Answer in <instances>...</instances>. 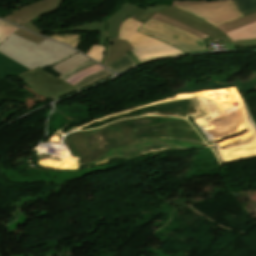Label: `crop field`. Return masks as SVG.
I'll use <instances>...</instances> for the list:
<instances>
[{
    "label": "crop field",
    "mask_w": 256,
    "mask_h": 256,
    "mask_svg": "<svg viewBox=\"0 0 256 256\" xmlns=\"http://www.w3.org/2000/svg\"><path fill=\"white\" fill-rule=\"evenodd\" d=\"M232 0H174L172 6L227 2ZM150 17L168 23L170 25L181 28L187 32L195 34L204 38L207 46L210 43L215 44L217 40L221 39L224 44L232 42V40L224 33L247 25L256 21V12L246 17L231 21L229 23L214 27L196 17H193L174 7L165 5H156L148 7L140 11L133 18L145 22ZM191 26V27H189ZM221 29V31H219ZM237 48L239 47H256V39L234 41Z\"/></svg>",
    "instance_id": "obj_1"
},
{
    "label": "crop field",
    "mask_w": 256,
    "mask_h": 256,
    "mask_svg": "<svg viewBox=\"0 0 256 256\" xmlns=\"http://www.w3.org/2000/svg\"><path fill=\"white\" fill-rule=\"evenodd\" d=\"M0 52L27 66L30 70L38 66L41 68L49 67L78 53L49 39L37 45L13 34L1 42Z\"/></svg>",
    "instance_id": "obj_2"
},
{
    "label": "crop field",
    "mask_w": 256,
    "mask_h": 256,
    "mask_svg": "<svg viewBox=\"0 0 256 256\" xmlns=\"http://www.w3.org/2000/svg\"><path fill=\"white\" fill-rule=\"evenodd\" d=\"M122 6L123 8L120 9L113 16L109 17L108 20H104L96 23L82 24L75 27H71V29L59 30V31H42L39 28H37L32 21L24 25V27L36 33H52V32H66V31L100 32L99 45H103V46H106L107 38H113L108 63L106 65L107 67L111 63L119 59L121 56L129 52L131 49H133L128 41L117 40L118 30H119L120 23L126 17L128 16L132 17L137 12L142 10V8L135 6L129 2H127L126 4H123Z\"/></svg>",
    "instance_id": "obj_3"
},
{
    "label": "crop field",
    "mask_w": 256,
    "mask_h": 256,
    "mask_svg": "<svg viewBox=\"0 0 256 256\" xmlns=\"http://www.w3.org/2000/svg\"><path fill=\"white\" fill-rule=\"evenodd\" d=\"M142 23L125 19L120 27L118 39L128 40L134 47L133 54L141 64L168 56L184 55L180 50L136 32Z\"/></svg>",
    "instance_id": "obj_4"
},
{
    "label": "crop field",
    "mask_w": 256,
    "mask_h": 256,
    "mask_svg": "<svg viewBox=\"0 0 256 256\" xmlns=\"http://www.w3.org/2000/svg\"><path fill=\"white\" fill-rule=\"evenodd\" d=\"M138 32L159 39L186 54L209 51L202 38L152 18L146 21Z\"/></svg>",
    "instance_id": "obj_5"
},
{
    "label": "crop field",
    "mask_w": 256,
    "mask_h": 256,
    "mask_svg": "<svg viewBox=\"0 0 256 256\" xmlns=\"http://www.w3.org/2000/svg\"><path fill=\"white\" fill-rule=\"evenodd\" d=\"M17 77L37 94L53 101L78 91L74 86L60 80L58 77L55 78L40 67Z\"/></svg>",
    "instance_id": "obj_6"
},
{
    "label": "crop field",
    "mask_w": 256,
    "mask_h": 256,
    "mask_svg": "<svg viewBox=\"0 0 256 256\" xmlns=\"http://www.w3.org/2000/svg\"><path fill=\"white\" fill-rule=\"evenodd\" d=\"M217 26L243 17L233 2L176 7Z\"/></svg>",
    "instance_id": "obj_7"
},
{
    "label": "crop field",
    "mask_w": 256,
    "mask_h": 256,
    "mask_svg": "<svg viewBox=\"0 0 256 256\" xmlns=\"http://www.w3.org/2000/svg\"><path fill=\"white\" fill-rule=\"evenodd\" d=\"M62 1L63 0H43L35 4L19 8L2 16L1 18L22 26L37 17L57 10Z\"/></svg>",
    "instance_id": "obj_8"
},
{
    "label": "crop field",
    "mask_w": 256,
    "mask_h": 256,
    "mask_svg": "<svg viewBox=\"0 0 256 256\" xmlns=\"http://www.w3.org/2000/svg\"><path fill=\"white\" fill-rule=\"evenodd\" d=\"M28 70V68L10 60L0 53V77L16 76Z\"/></svg>",
    "instance_id": "obj_9"
},
{
    "label": "crop field",
    "mask_w": 256,
    "mask_h": 256,
    "mask_svg": "<svg viewBox=\"0 0 256 256\" xmlns=\"http://www.w3.org/2000/svg\"><path fill=\"white\" fill-rule=\"evenodd\" d=\"M86 60H88L86 57H84L78 53L72 57H69V58L63 60L62 62H60L58 64L53 65L52 69L55 72L62 74L64 72H66L67 70L83 63Z\"/></svg>",
    "instance_id": "obj_10"
},
{
    "label": "crop field",
    "mask_w": 256,
    "mask_h": 256,
    "mask_svg": "<svg viewBox=\"0 0 256 256\" xmlns=\"http://www.w3.org/2000/svg\"><path fill=\"white\" fill-rule=\"evenodd\" d=\"M232 40L256 38V22L226 33Z\"/></svg>",
    "instance_id": "obj_11"
},
{
    "label": "crop field",
    "mask_w": 256,
    "mask_h": 256,
    "mask_svg": "<svg viewBox=\"0 0 256 256\" xmlns=\"http://www.w3.org/2000/svg\"><path fill=\"white\" fill-rule=\"evenodd\" d=\"M114 74L104 70V71H101L99 73H96V74H93L91 76H88L86 78H84L83 80H81L79 83H77L76 85H74L78 90L94 83V82H97V81H100L102 79H105V78H108L110 76H113Z\"/></svg>",
    "instance_id": "obj_12"
},
{
    "label": "crop field",
    "mask_w": 256,
    "mask_h": 256,
    "mask_svg": "<svg viewBox=\"0 0 256 256\" xmlns=\"http://www.w3.org/2000/svg\"><path fill=\"white\" fill-rule=\"evenodd\" d=\"M133 66H135L134 62L126 54L107 68L115 72H121Z\"/></svg>",
    "instance_id": "obj_13"
},
{
    "label": "crop field",
    "mask_w": 256,
    "mask_h": 256,
    "mask_svg": "<svg viewBox=\"0 0 256 256\" xmlns=\"http://www.w3.org/2000/svg\"><path fill=\"white\" fill-rule=\"evenodd\" d=\"M234 2L244 16L256 11V0H234Z\"/></svg>",
    "instance_id": "obj_14"
},
{
    "label": "crop field",
    "mask_w": 256,
    "mask_h": 256,
    "mask_svg": "<svg viewBox=\"0 0 256 256\" xmlns=\"http://www.w3.org/2000/svg\"><path fill=\"white\" fill-rule=\"evenodd\" d=\"M101 70H104L101 66H99L98 64L77 74L76 76L66 80L67 82L71 83V84H76L77 82H79L81 79H83L84 77L91 75L93 73L99 72Z\"/></svg>",
    "instance_id": "obj_15"
},
{
    "label": "crop field",
    "mask_w": 256,
    "mask_h": 256,
    "mask_svg": "<svg viewBox=\"0 0 256 256\" xmlns=\"http://www.w3.org/2000/svg\"><path fill=\"white\" fill-rule=\"evenodd\" d=\"M40 35H42V34H40ZM47 37H51V38L66 42L73 47H76L78 42L80 41V34L50 35Z\"/></svg>",
    "instance_id": "obj_16"
},
{
    "label": "crop field",
    "mask_w": 256,
    "mask_h": 256,
    "mask_svg": "<svg viewBox=\"0 0 256 256\" xmlns=\"http://www.w3.org/2000/svg\"><path fill=\"white\" fill-rule=\"evenodd\" d=\"M105 49L106 47L92 45L91 49L86 55L102 64L105 55Z\"/></svg>",
    "instance_id": "obj_17"
},
{
    "label": "crop field",
    "mask_w": 256,
    "mask_h": 256,
    "mask_svg": "<svg viewBox=\"0 0 256 256\" xmlns=\"http://www.w3.org/2000/svg\"><path fill=\"white\" fill-rule=\"evenodd\" d=\"M95 64H97V63L89 60V61H87V62H85V63H83V64H81V65H79V66H77V67H75V68H73L71 70H69V71H67L66 73H64V74H62V75H60L58 77H60L61 79L65 80V79H67V78H69V77H71V76H73V75H75V74H77V73H79V72H81V71H83V70H85V69L95 65Z\"/></svg>",
    "instance_id": "obj_18"
},
{
    "label": "crop field",
    "mask_w": 256,
    "mask_h": 256,
    "mask_svg": "<svg viewBox=\"0 0 256 256\" xmlns=\"http://www.w3.org/2000/svg\"><path fill=\"white\" fill-rule=\"evenodd\" d=\"M17 28L19 27L0 20V42L4 40L8 35H10L13 31H15Z\"/></svg>",
    "instance_id": "obj_19"
},
{
    "label": "crop field",
    "mask_w": 256,
    "mask_h": 256,
    "mask_svg": "<svg viewBox=\"0 0 256 256\" xmlns=\"http://www.w3.org/2000/svg\"><path fill=\"white\" fill-rule=\"evenodd\" d=\"M13 34L18 35L20 37H23V38H25L27 40H30L32 42H35L37 44H39L40 42H42L45 39V38H42L40 36L34 35V34L28 32L24 29H21V28L16 30Z\"/></svg>",
    "instance_id": "obj_20"
},
{
    "label": "crop field",
    "mask_w": 256,
    "mask_h": 256,
    "mask_svg": "<svg viewBox=\"0 0 256 256\" xmlns=\"http://www.w3.org/2000/svg\"><path fill=\"white\" fill-rule=\"evenodd\" d=\"M111 41H112V39H108L107 49H106V55H105V59H104V63H103L104 66H105L106 61H107V59H108L109 50H110V46H111Z\"/></svg>",
    "instance_id": "obj_21"
},
{
    "label": "crop field",
    "mask_w": 256,
    "mask_h": 256,
    "mask_svg": "<svg viewBox=\"0 0 256 256\" xmlns=\"http://www.w3.org/2000/svg\"><path fill=\"white\" fill-rule=\"evenodd\" d=\"M1 256V255H0Z\"/></svg>",
    "instance_id": "obj_22"
}]
</instances>
